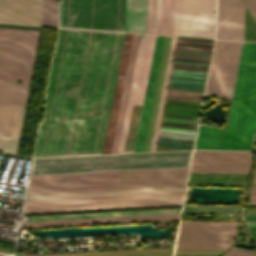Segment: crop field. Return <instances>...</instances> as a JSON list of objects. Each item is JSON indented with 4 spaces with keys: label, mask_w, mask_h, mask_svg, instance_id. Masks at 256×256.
Listing matches in <instances>:
<instances>
[{
    "label": "crop field",
    "mask_w": 256,
    "mask_h": 256,
    "mask_svg": "<svg viewBox=\"0 0 256 256\" xmlns=\"http://www.w3.org/2000/svg\"><path fill=\"white\" fill-rule=\"evenodd\" d=\"M251 194H256V183H253L252 193Z\"/></svg>",
    "instance_id": "33"
},
{
    "label": "crop field",
    "mask_w": 256,
    "mask_h": 256,
    "mask_svg": "<svg viewBox=\"0 0 256 256\" xmlns=\"http://www.w3.org/2000/svg\"><path fill=\"white\" fill-rule=\"evenodd\" d=\"M250 203H256V195H251Z\"/></svg>",
    "instance_id": "32"
},
{
    "label": "crop field",
    "mask_w": 256,
    "mask_h": 256,
    "mask_svg": "<svg viewBox=\"0 0 256 256\" xmlns=\"http://www.w3.org/2000/svg\"><path fill=\"white\" fill-rule=\"evenodd\" d=\"M184 189H185V187H175V188L113 190V191H95V192H80V193H65V194L34 195V196H27L26 200L176 192V191H184Z\"/></svg>",
    "instance_id": "20"
},
{
    "label": "crop field",
    "mask_w": 256,
    "mask_h": 256,
    "mask_svg": "<svg viewBox=\"0 0 256 256\" xmlns=\"http://www.w3.org/2000/svg\"><path fill=\"white\" fill-rule=\"evenodd\" d=\"M60 26L125 31V0H61Z\"/></svg>",
    "instance_id": "7"
},
{
    "label": "crop field",
    "mask_w": 256,
    "mask_h": 256,
    "mask_svg": "<svg viewBox=\"0 0 256 256\" xmlns=\"http://www.w3.org/2000/svg\"><path fill=\"white\" fill-rule=\"evenodd\" d=\"M184 192L26 201L23 214L181 205Z\"/></svg>",
    "instance_id": "6"
},
{
    "label": "crop field",
    "mask_w": 256,
    "mask_h": 256,
    "mask_svg": "<svg viewBox=\"0 0 256 256\" xmlns=\"http://www.w3.org/2000/svg\"><path fill=\"white\" fill-rule=\"evenodd\" d=\"M221 150H252L256 131V43L243 42Z\"/></svg>",
    "instance_id": "3"
},
{
    "label": "crop field",
    "mask_w": 256,
    "mask_h": 256,
    "mask_svg": "<svg viewBox=\"0 0 256 256\" xmlns=\"http://www.w3.org/2000/svg\"><path fill=\"white\" fill-rule=\"evenodd\" d=\"M42 0H0V22L41 25Z\"/></svg>",
    "instance_id": "15"
},
{
    "label": "crop field",
    "mask_w": 256,
    "mask_h": 256,
    "mask_svg": "<svg viewBox=\"0 0 256 256\" xmlns=\"http://www.w3.org/2000/svg\"><path fill=\"white\" fill-rule=\"evenodd\" d=\"M172 0H147L146 33L170 34Z\"/></svg>",
    "instance_id": "19"
},
{
    "label": "crop field",
    "mask_w": 256,
    "mask_h": 256,
    "mask_svg": "<svg viewBox=\"0 0 256 256\" xmlns=\"http://www.w3.org/2000/svg\"><path fill=\"white\" fill-rule=\"evenodd\" d=\"M139 36H140V34H135V36H134L131 58H130L128 73H127L126 83H125V87H124V92H123V97H122V102H121V107H120V112H119V117H118V122H117V127H116V131H115V136H114V141H113V146H112L111 153H116V151H117L119 135H120L122 120H123L124 111H125V107H126V102H127V98H128V93H129V88H130V83H131V77H132L136 52H137Z\"/></svg>",
    "instance_id": "22"
},
{
    "label": "crop field",
    "mask_w": 256,
    "mask_h": 256,
    "mask_svg": "<svg viewBox=\"0 0 256 256\" xmlns=\"http://www.w3.org/2000/svg\"><path fill=\"white\" fill-rule=\"evenodd\" d=\"M188 171L30 179L27 195L185 186Z\"/></svg>",
    "instance_id": "4"
},
{
    "label": "crop field",
    "mask_w": 256,
    "mask_h": 256,
    "mask_svg": "<svg viewBox=\"0 0 256 256\" xmlns=\"http://www.w3.org/2000/svg\"><path fill=\"white\" fill-rule=\"evenodd\" d=\"M253 182H256V171H255V176H254V181Z\"/></svg>",
    "instance_id": "34"
},
{
    "label": "crop field",
    "mask_w": 256,
    "mask_h": 256,
    "mask_svg": "<svg viewBox=\"0 0 256 256\" xmlns=\"http://www.w3.org/2000/svg\"><path fill=\"white\" fill-rule=\"evenodd\" d=\"M251 152L194 151L190 172L248 173Z\"/></svg>",
    "instance_id": "12"
},
{
    "label": "crop field",
    "mask_w": 256,
    "mask_h": 256,
    "mask_svg": "<svg viewBox=\"0 0 256 256\" xmlns=\"http://www.w3.org/2000/svg\"><path fill=\"white\" fill-rule=\"evenodd\" d=\"M9 25H10V24H9ZM9 25H0V26H9ZM9 27H22V26H9ZM9 27H8V28H9ZM22 28H34V27H22ZM22 28H21V29H22ZM34 29H40V28H34ZM34 29H33V30H34Z\"/></svg>",
    "instance_id": "31"
},
{
    "label": "crop field",
    "mask_w": 256,
    "mask_h": 256,
    "mask_svg": "<svg viewBox=\"0 0 256 256\" xmlns=\"http://www.w3.org/2000/svg\"><path fill=\"white\" fill-rule=\"evenodd\" d=\"M165 36H157L134 152L142 151Z\"/></svg>",
    "instance_id": "18"
},
{
    "label": "crop field",
    "mask_w": 256,
    "mask_h": 256,
    "mask_svg": "<svg viewBox=\"0 0 256 256\" xmlns=\"http://www.w3.org/2000/svg\"><path fill=\"white\" fill-rule=\"evenodd\" d=\"M58 0H43L42 25L57 26Z\"/></svg>",
    "instance_id": "27"
},
{
    "label": "crop field",
    "mask_w": 256,
    "mask_h": 256,
    "mask_svg": "<svg viewBox=\"0 0 256 256\" xmlns=\"http://www.w3.org/2000/svg\"><path fill=\"white\" fill-rule=\"evenodd\" d=\"M223 130L199 125L195 149H220Z\"/></svg>",
    "instance_id": "23"
},
{
    "label": "crop field",
    "mask_w": 256,
    "mask_h": 256,
    "mask_svg": "<svg viewBox=\"0 0 256 256\" xmlns=\"http://www.w3.org/2000/svg\"><path fill=\"white\" fill-rule=\"evenodd\" d=\"M215 0H174L172 35L213 38Z\"/></svg>",
    "instance_id": "9"
},
{
    "label": "crop field",
    "mask_w": 256,
    "mask_h": 256,
    "mask_svg": "<svg viewBox=\"0 0 256 256\" xmlns=\"http://www.w3.org/2000/svg\"><path fill=\"white\" fill-rule=\"evenodd\" d=\"M241 44L216 40L206 93L230 99Z\"/></svg>",
    "instance_id": "11"
},
{
    "label": "crop field",
    "mask_w": 256,
    "mask_h": 256,
    "mask_svg": "<svg viewBox=\"0 0 256 256\" xmlns=\"http://www.w3.org/2000/svg\"><path fill=\"white\" fill-rule=\"evenodd\" d=\"M180 213L23 222L22 228L178 220Z\"/></svg>",
    "instance_id": "14"
},
{
    "label": "crop field",
    "mask_w": 256,
    "mask_h": 256,
    "mask_svg": "<svg viewBox=\"0 0 256 256\" xmlns=\"http://www.w3.org/2000/svg\"><path fill=\"white\" fill-rule=\"evenodd\" d=\"M133 36L134 34H130V33H126L125 35L122 56H121V61H120V66H119V71H118V76H117V81H116V86H115V91H114L102 154L110 153L111 151V146H112L115 126H116Z\"/></svg>",
    "instance_id": "16"
},
{
    "label": "crop field",
    "mask_w": 256,
    "mask_h": 256,
    "mask_svg": "<svg viewBox=\"0 0 256 256\" xmlns=\"http://www.w3.org/2000/svg\"><path fill=\"white\" fill-rule=\"evenodd\" d=\"M146 0H127L126 31L145 33Z\"/></svg>",
    "instance_id": "21"
},
{
    "label": "crop field",
    "mask_w": 256,
    "mask_h": 256,
    "mask_svg": "<svg viewBox=\"0 0 256 256\" xmlns=\"http://www.w3.org/2000/svg\"><path fill=\"white\" fill-rule=\"evenodd\" d=\"M188 168L189 167L160 168V169H140V170H120V171H100V172H80V173H60V174H40V175H31L30 178L59 177V176H79V175H99V174H119V173H139V172H159V171H179V170H188Z\"/></svg>",
    "instance_id": "26"
},
{
    "label": "crop field",
    "mask_w": 256,
    "mask_h": 256,
    "mask_svg": "<svg viewBox=\"0 0 256 256\" xmlns=\"http://www.w3.org/2000/svg\"><path fill=\"white\" fill-rule=\"evenodd\" d=\"M172 212H180V209L113 212V213H94V214H75V215H56V216H37V217H28L27 221L86 218V217H103V216H121V215H138V214H155V213H172Z\"/></svg>",
    "instance_id": "24"
},
{
    "label": "crop field",
    "mask_w": 256,
    "mask_h": 256,
    "mask_svg": "<svg viewBox=\"0 0 256 256\" xmlns=\"http://www.w3.org/2000/svg\"><path fill=\"white\" fill-rule=\"evenodd\" d=\"M24 108L0 104V151L15 154Z\"/></svg>",
    "instance_id": "17"
},
{
    "label": "crop field",
    "mask_w": 256,
    "mask_h": 256,
    "mask_svg": "<svg viewBox=\"0 0 256 256\" xmlns=\"http://www.w3.org/2000/svg\"><path fill=\"white\" fill-rule=\"evenodd\" d=\"M250 205H256V204H250Z\"/></svg>",
    "instance_id": "35"
},
{
    "label": "crop field",
    "mask_w": 256,
    "mask_h": 256,
    "mask_svg": "<svg viewBox=\"0 0 256 256\" xmlns=\"http://www.w3.org/2000/svg\"><path fill=\"white\" fill-rule=\"evenodd\" d=\"M192 151L34 159L31 174L189 166Z\"/></svg>",
    "instance_id": "5"
},
{
    "label": "crop field",
    "mask_w": 256,
    "mask_h": 256,
    "mask_svg": "<svg viewBox=\"0 0 256 256\" xmlns=\"http://www.w3.org/2000/svg\"><path fill=\"white\" fill-rule=\"evenodd\" d=\"M243 23L241 0H217L216 38L243 40Z\"/></svg>",
    "instance_id": "13"
},
{
    "label": "crop field",
    "mask_w": 256,
    "mask_h": 256,
    "mask_svg": "<svg viewBox=\"0 0 256 256\" xmlns=\"http://www.w3.org/2000/svg\"><path fill=\"white\" fill-rule=\"evenodd\" d=\"M244 2L256 18V0H244Z\"/></svg>",
    "instance_id": "30"
},
{
    "label": "crop field",
    "mask_w": 256,
    "mask_h": 256,
    "mask_svg": "<svg viewBox=\"0 0 256 256\" xmlns=\"http://www.w3.org/2000/svg\"><path fill=\"white\" fill-rule=\"evenodd\" d=\"M224 256H256V252L247 251L239 248L233 247L226 255Z\"/></svg>",
    "instance_id": "28"
},
{
    "label": "crop field",
    "mask_w": 256,
    "mask_h": 256,
    "mask_svg": "<svg viewBox=\"0 0 256 256\" xmlns=\"http://www.w3.org/2000/svg\"><path fill=\"white\" fill-rule=\"evenodd\" d=\"M148 37L149 35H143V34H141L140 36L138 52H137V57H136V62H135V67H134V72L132 77V83H131L129 98H128L127 107L125 111V116L123 120L117 153H119L120 151V146H121L129 104H135L136 102ZM155 38L156 36H151V35L149 37L137 102H136V105H130L129 107V112H128V117H127V122H126V127L124 131L120 153L133 152L134 150L136 135L138 131V126H139V121H140V116H141V111L143 106V100H144V95H145V90H146V85L148 80V74H149V69H150V64H151V59L153 54Z\"/></svg>",
    "instance_id": "8"
},
{
    "label": "crop field",
    "mask_w": 256,
    "mask_h": 256,
    "mask_svg": "<svg viewBox=\"0 0 256 256\" xmlns=\"http://www.w3.org/2000/svg\"><path fill=\"white\" fill-rule=\"evenodd\" d=\"M175 39H176V37H172V39H171L170 50H169V55H168V60H167V65H166V70H165V76H164V81H163L161 97H160V102H159L157 118H156V123H155V128H154V133H153V138H152V144H151L150 151H154V149H155L159 124H160V119H161V114H162L164 96H165V91H166L167 84H168V78H169L170 67H171V62H172Z\"/></svg>",
    "instance_id": "25"
},
{
    "label": "crop field",
    "mask_w": 256,
    "mask_h": 256,
    "mask_svg": "<svg viewBox=\"0 0 256 256\" xmlns=\"http://www.w3.org/2000/svg\"><path fill=\"white\" fill-rule=\"evenodd\" d=\"M237 224L180 221L175 247L228 249Z\"/></svg>",
    "instance_id": "10"
},
{
    "label": "crop field",
    "mask_w": 256,
    "mask_h": 256,
    "mask_svg": "<svg viewBox=\"0 0 256 256\" xmlns=\"http://www.w3.org/2000/svg\"><path fill=\"white\" fill-rule=\"evenodd\" d=\"M249 237L256 244V222H245Z\"/></svg>",
    "instance_id": "29"
},
{
    "label": "crop field",
    "mask_w": 256,
    "mask_h": 256,
    "mask_svg": "<svg viewBox=\"0 0 256 256\" xmlns=\"http://www.w3.org/2000/svg\"><path fill=\"white\" fill-rule=\"evenodd\" d=\"M124 35L59 28L34 157L101 154Z\"/></svg>",
    "instance_id": "1"
},
{
    "label": "crop field",
    "mask_w": 256,
    "mask_h": 256,
    "mask_svg": "<svg viewBox=\"0 0 256 256\" xmlns=\"http://www.w3.org/2000/svg\"><path fill=\"white\" fill-rule=\"evenodd\" d=\"M213 40L178 37L168 88L203 92ZM167 89L163 112L198 116L202 93ZM163 113L156 147L192 149L198 117Z\"/></svg>",
    "instance_id": "2"
}]
</instances>
